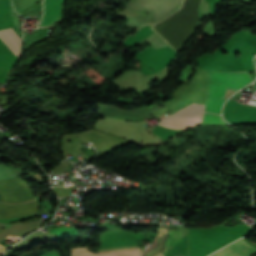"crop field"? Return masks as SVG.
I'll return each mask as SVG.
<instances>
[{"label":"crop field","mask_w":256,"mask_h":256,"mask_svg":"<svg viewBox=\"0 0 256 256\" xmlns=\"http://www.w3.org/2000/svg\"><path fill=\"white\" fill-rule=\"evenodd\" d=\"M204 105L192 103L176 112L174 114L188 113V112H203Z\"/></svg>","instance_id":"11"},{"label":"crop field","mask_w":256,"mask_h":256,"mask_svg":"<svg viewBox=\"0 0 256 256\" xmlns=\"http://www.w3.org/2000/svg\"><path fill=\"white\" fill-rule=\"evenodd\" d=\"M225 101V98H208L204 112L221 114V107Z\"/></svg>","instance_id":"9"},{"label":"crop field","mask_w":256,"mask_h":256,"mask_svg":"<svg viewBox=\"0 0 256 256\" xmlns=\"http://www.w3.org/2000/svg\"><path fill=\"white\" fill-rule=\"evenodd\" d=\"M203 113L169 116L160 125L184 129L201 123Z\"/></svg>","instance_id":"5"},{"label":"crop field","mask_w":256,"mask_h":256,"mask_svg":"<svg viewBox=\"0 0 256 256\" xmlns=\"http://www.w3.org/2000/svg\"><path fill=\"white\" fill-rule=\"evenodd\" d=\"M7 249V247L0 244V255Z\"/></svg>","instance_id":"13"},{"label":"crop field","mask_w":256,"mask_h":256,"mask_svg":"<svg viewBox=\"0 0 256 256\" xmlns=\"http://www.w3.org/2000/svg\"><path fill=\"white\" fill-rule=\"evenodd\" d=\"M63 0H43V16L38 27L47 26L57 20H60V5Z\"/></svg>","instance_id":"7"},{"label":"crop field","mask_w":256,"mask_h":256,"mask_svg":"<svg viewBox=\"0 0 256 256\" xmlns=\"http://www.w3.org/2000/svg\"><path fill=\"white\" fill-rule=\"evenodd\" d=\"M175 56L176 52L170 46L157 50L150 47L137 54V57L158 71L167 66Z\"/></svg>","instance_id":"3"},{"label":"crop field","mask_w":256,"mask_h":256,"mask_svg":"<svg viewBox=\"0 0 256 256\" xmlns=\"http://www.w3.org/2000/svg\"><path fill=\"white\" fill-rule=\"evenodd\" d=\"M202 122H204V123H223V121L221 120V116L209 115V114L203 115Z\"/></svg>","instance_id":"12"},{"label":"crop field","mask_w":256,"mask_h":256,"mask_svg":"<svg viewBox=\"0 0 256 256\" xmlns=\"http://www.w3.org/2000/svg\"><path fill=\"white\" fill-rule=\"evenodd\" d=\"M38 201L10 206L0 203V219H13L36 213Z\"/></svg>","instance_id":"4"},{"label":"crop field","mask_w":256,"mask_h":256,"mask_svg":"<svg viewBox=\"0 0 256 256\" xmlns=\"http://www.w3.org/2000/svg\"><path fill=\"white\" fill-rule=\"evenodd\" d=\"M255 250L256 247L240 239L210 256H249Z\"/></svg>","instance_id":"6"},{"label":"crop field","mask_w":256,"mask_h":256,"mask_svg":"<svg viewBox=\"0 0 256 256\" xmlns=\"http://www.w3.org/2000/svg\"><path fill=\"white\" fill-rule=\"evenodd\" d=\"M251 76L247 71H212L209 97H222L226 88L239 90L249 84Z\"/></svg>","instance_id":"1"},{"label":"crop field","mask_w":256,"mask_h":256,"mask_svg":"<svg viewBox=\"0 0 256 256\" xmlns=\"http://www.w3.org/2000/svg\"><path fill=\"white\" fill-rule=\"evenodd\" d=\"M137 32L138 33L134 36L129 35V37L123 43L131 45L149 36L153 31L144 26L137 30Z\"/></svg>","instance_id":"10"},{"label":"crop field","mask_w":256,"mask_h":256,"mask_svg":"<svg viewBox=\"0 0 256 256\" xmlns=\"http://www.w3.org/2000/svg\"><path fill=\"white\" fill-rule=\"evenodd\" d=\"M10 30L21 40V38L16 34V32L12 28H10ZM10 30L6 29L0 31V38L16 56H19L21 41Z\"/></svg>","instance_id":"8"},{"label":"crop field","mask_w":256,"mask_h":256,"mask_svg":"<svg viewBox=\"0 0 256 256\" xmlns=\"http://www.w3.org/2000/svg\"><path fill=\"white\" fill-rule=\"evenodd\" d=\"M0 194L3 200L17 201L34 197L29 186L20 178L0 182Z\"/></svg>","instance_id":"2"}]
</instances>
